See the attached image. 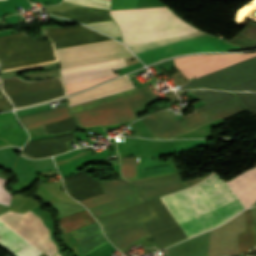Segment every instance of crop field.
I'll return each mask as SVG.
<instances>
[{
	"instance_id": "crop-field-1",
	"label": "crop field",
	"mask_w": 256,
	"mask_h": 256,
	"mask_svg": "<svg viewBox=\"0 0 256 256\" xmlns=\"http://www.w3.org/2000/svg\"><path fill=\"white\" fill-rule=\"evenodd\" d=\"M228 184L245 208L249 207L256 200V167ZM194 185L225 221L245 209L226 181L214 172ZM194 185L160 197L191 237L225 222Z\"/></svg>"
},
{
	"instance_id": "crop-field-2",
	"label": "crop field",
	"mask_w": 256,
	"mask_h": 256,
	"mask_svg": "<svg viewBox=\"0 0 256 256\" xmlns=\"http://www.w3.org/2000/svg\"><path fill=\"white\" fill-rule=\"evenodd\" d=\"M256 55L254 53L200 55L173 59L176 67L188 78L212 73ZM256 77V56L192 81L184 89L210 88L223 90Z\"/></svg>"
},
{
	"instance_id": "crop-field-3",
	"label": "crop field",
	"mask_w": 256,
	"mask_h": 256,
	"mask_svg": "<svg viewBox=\"0 0 256 256\" xmlns=\"http://www.w3.org/2000/svg\"><path fill=\"white\" fill-rule=\"evenodd\" d=\"M127 46L174 38L199 31L166 7L110 11Z\"/></svg>"
},
{
	"instance_id": "crop-field-4",
	"label": "crop field",
	"mask_w": 256,
	"mask_h": 256,
	"mask_svg": "<svg viewBox=\"0 0 256 256\" xmlns=\"http://www.w3.org/2000/svg\"><path fill=\"white\" fill-rule=\"evenodd\" d=\"M155 98L145 85L70 107L79 128L109 125L131 120L133 112Z\"/></svg>"
},
{
	"instance_id": "crop-field-5",
	"label": "crop field",
	"mask_w": 256,
	"mask_h": 256,
	"mask_svg": "<svg viewBox=\"0 0 256 256\" xmlns=\"http://www.w3.org/2000/svg\"><path fill=\"white\" fill-rule=\"evenodd\" d=\"M57 60L52 42L32 39L22 32L0 36V72Z\"/></svg>"
},
{
	"instance_id": "crop-field-6",
	"label": "crop field",
	"mask_w": 256,
	"mask_h": 256,
	"mask_svg": "<svg viewBox=\"0 0 256 256\" xmlns=\"http://www.w3.org/2000/svg\"><path fill=\"white\" fill-rule=\"evenodd\" d=\"M242 109H244V106L235 98L178 122L169 111L157 112L142 118V120L156 138L171 139L202 124L225 117Z\"/></svg>"
},
{
	"instance_id": "crop-field-7",
	"label": "crop field",
	"mask_w": 256,
	"mask_h": 256,
	"mask_svg": "<svg viewBox=\"0 0 256 256\" xmlns=\"http://www.w3.org/2000/svg\"><path fill=\"white\" fill-rule=\"evenodd\" d=\"M1 88L15 109L66 96L60 78L37 82L23 81L19 78L1 79Z\"/></svg>"
},
{
	"instance_id": "crop-field-8",
	"label": "crop field",
	"mask_w": 256,
	"mask_h": 256,
	"mask_svg": "<svg viewBox=\"0 0 256 256\" xmlns=\"http://www.w3.org/2000/svg\"><path fill=\"white\" fill-rule=\"evenodd\" d=\"M61 69L132 56L120 42L111 40L56 50Z\"/></svg>"
},
{
	"instance_id": "crop-field-9",
	"label": "crop field",
	"mask_w": 256,
	"mask_h": 256,
	"mask_svg": "<svg viewBox=\"0 0 256 256\" xmlns=\"http://www.w3.org/2000/svg\"><path fill=\"white\" fill-rule=\"evenodd\" d=\"M106 194L83 201L95 218L144 202L132 189L128 181H101Z\"/></svg>"
},
{
	"instance_id": "crop-field-10",
	"label": "crop field",
	"mask_w": 256,
	"mask_h": 256,
	"mask_svg": "<svg viewBox=\"0 0 256 256\" xmlns=\"http://www.w3.org/2000/svg\"><path fill=\"white\" fill-rule=\"evenodd\" d=\"M243 49L209 34L188 39L185 41L149 49L136 53L137 57L146 65L165 59L170 56L200 51H221Z\"/></svg>"
},
{
	"instance_id": "crop-field-11",
	"label": "crop field",
	"mask_w": 256,
	"mask_h": 256,
	"mask_svg": "<svg viewBox=\"0 0 256 256\" xmlns=\"http://www.w3.org/2000/svg\"><path fill=\"white\" fill-rule=\"evenodd\" d=\"M45 32L55 42L56 49L111 40L83 25L47 30Z\"/></svg>"
},
{
	"instance_id": "crop-field-12",
	"label": "crop field",
	"mask_w": 256,
	"mask_h": 256,
	"mask_svg": "<svg viewBox=\"0 0 256 256\" xmlns=\"http://www.w3.org/2000/svg\"><path fill=\"white\" fill-rule=\"evenodd\" d=\"M131 184L146 201L187 188L179 175L154 178Z\"/></svg>"
},
{
	"instance_id": "crop-field-13",
	"label": "crop field",
	"mask_w": 256,
	"mask_h": 256,
	"mask_svg": "<svg viewBox=\"0 0 256 256\" xmlns=\"http://www.w3.org/2000/svg\"><path fill=\"white\" fill-rule=\"evenodd\" d=\"M126 66L124 59L61 70L65 84L113 74L111 70Z\"/></svg>"
},
{
	"instance_id": "crop-field-14",
	"label": "crop field",
	"mask_w": 256,
	"mask_h": 256,
	"mask_svg": "<svg viewBox=\"0 0 256 256\" xmlns=\"http://www.w3.org/2000/svg\"><path fill=\"white\" fill-rule=\"evenodd\" d=\"M134 86L128 81V79L123 76L121 78L115 79L108 83L102 84L90 90L84 91L77 95L69 97L68 106H74L80 103H84L90 100H94L100 97H104L110 94H114L120 91H124Z\"/></svg>"
},
{
	"instance_id": "crop-field-15",
	"label": "crop field",
	"mask_w": 256,
	"mask_h": 256,
	"mask_svg": "<svg viewBox=\"0 0 256 256\" xmlns=\"http://www.w3.org/2000/svg\"><path fill=\"white\" fill-rule=\"evenodd\" d=\"M0 243L18 256H39L42 252L0 221Z\"/></svg>"
},
{
	"instance_id": "crop-field-16",
	"label": "crop field",
	"mask_w": 256,
	"mask_h": 256,
	"mask_svg": "<svg viewBox=\"0 0 256 256\" xmlns=\"http://www.w3.org/2000/svg\"><path fill=\"white\" fill-rule=\"evenodd\" d=\"M70 111L67 109V105L37 112L34 114L26 115L19 117L20 122L24 125L25 128L38 126L60 120L63 118L71 117Z\"/></svg>"
},
{
	"instance_id": "crop-field-17",
	"label": "crop field",
	"mask_w": 256,
	"mask_h": 256,
	"mask_svg": "<svg viewBox=\"0 0 256 256\" xmlns=\"http://www.w3.org/2000/svg\"><path fill=\"white\" fill-rule=\"evenodd\" d=\"M246 218L247 232L238 234L237 246L240 254L255 246V220L251 209L243 211Z\"/></svg>"
},
{
	"instance_id": "crop-field-18",
	"label": "crop field",
	"mask_w": 256,
	"mask_h": 256,
	"mask_svg": "<svg viewBox=\"0 0 256 256\" xmlns=\"http://www.w3.org/2000/svg\"><path fill=\"white\" fill-rule=\"evenodd\" d=\"M200 98L206 105L195 109L197 112L235 98L230 92L195 90L188 91Z\"/></svg>"
},
{
	"instance_id": "crop-field-19",
	"label": "crop field",
	"mask_w": 256,
	"mask_h": 256,
	"mask_svg": "<svg viewBox=\"0 0 256 256\" xmlns=\"http://www.w3.org/2000/svg\"><path fill=\"white\" fill-rule=\"evenodd\" d=\"M60 228L63 234L76 229L78 227L84 226L91 222H95V220L91 217L87 210L72 214L65 218L59 220Z\"/></svg>"
},
{
	"instance_id": "crop-field-20",
	"label": "crop field",
	"mask_w": 256,
	"mask_h": 256,
	"mask_svg": "<svg viewBox=\"0 0 256 256\" xmlns=\"http://www.w3.org/2000/svg\"><path fill=\"white\" fill-rule=\"evenodd\" d=\"M202 34H206V33L200 31V32H196V33H193V34H190V35H186V36H183V37H179V38L169 39V40L160 41V42H155V43H149V44L131 46V47H129V48H130L134 53H136V52H140V51H143V50L152 48V47H156V46H160V45H165V44H168V43H172V42H176V41H180V40L192 38V37L199 36V35H202Z\"/></svg>"
},
{
	"instance_id": "crop-field-21",
	"label": "crop field",
	"mask_w": 256,
	"mask_h": 256,
	"mask_svg": "<svg viewBox=\"0 0 256 256\" xmlns=\"http://www.w3.org/2000/svg\"><path fill=\"white\" fill-rule=\"evenodd\" d=\"M115 76H116V74L112 75V76H107V77L87 80V81H83V82H79V83H75V84H69V85H65V86L67 88V93L69 95V94H72L74 92L80 91V90L88 88L90 86H93L95 84H98V83H101L103 81H106L108 79H111V78H113Z\"/></svg>"
},
{
	"instance_id": "crop-field-22",
	"label": "crop field",
	"mask_w": 256,
	"mask_h": 256,
	"mask_svg": "<svg viewBox=\"0 0 256 256\" xmlns=\"http://www.w3.org/2000/svg\"><path fill=\"white\" fill-rule=\"evenodd\" d=\"M89 27L99 30L113 38L119 37V29L114 21L101 22V23H91L87 24Z\"/></svg>"
},
{
	"instance_id": "crop-field-23",
	"label": "crop field",
	"mask_w": 256,
	"mask_h": 256,
	"mask_svg": "<svg viewBox=\"0 0 256 256\" xmlns=\"http://www.w3.org/2000/svg\"><path fill=\"white\" fill-rule=\"evenodd\" d=\"M121 171L124 178H134L136 177V157L131 158H121Z\"/></svg>"
},
{
	"instance_id": "crop-field-24",
	"label": "crop field",
	"mask_w": 256,
	"mask_h": 256,
	"mask_svg": "<svg viewBox=\"0 0 256 256\" xmlns=\"http://www.w3.org/2000/svg\"><path fill=\"white\" fill-rule=\"evenodd\" d=\"M234 95L247 109L256 113V93H235Z\"/></svg>"
},
{
	"instance_id": "crop-field-25",
	"label": "crop field",
	"mask_w": 256,
	"mask_h": 256,
	"mask_svg": "<svg viewBox=\"0 0 256 256\" xmlns=\"http://www.w3.org/2000/svg\"><path fill=\"white\" fill-rule=\"evenodd\" d=\"M227 91H256V79L225 89Z\"/></svg>"
},
{
	"instance_id": "crop-field-26",
	"label": "crop field",
	"mask_w": 256,
	"mask_h": 256,
	"mask_svg": "<svg viewBox=\"0 0 256 256\" xmlns=\"http://www.w3.org/2000/svg\"><path fill=\"white\" fill-rule=\"evenodd\" d=\"M64 1L73 2V3H76L78 5L87 6V7H98V8L109 9L108 6L102 5L100 3H97V2H94V1H91V0H64Z\"/></svg>"
},
{
	"instance_id": "crop-field-27",
	"label": "crop field",
	"mask_w": 256,
	"mask_h": 256,
	"mask_svg": "<svg viewBox=\"0 0 256 256\" xmlns=\"http://www.w3.org/2000/svg\"><path fill=\"white\" fill-rule=\"evenodd\" d=\"M4 182L5 179L0 178V202L9 205L11 195L3 188Z\"/></svg>"
},
{
	"instance_id": "crop-field-28",
	"label": "crop field",
	"mask_w": 256,
	"mask_h": 256,
	"mask_svg": "<svg viewBox=\"0 0 256 256\" xmlns=\"http://www.w3.org/2000/svg\"><path fill=\"white\" fill-rule=\"evenodd\" d=\"M10 103L8 99L0 91V109L10 108Z\"/></svg>"
},
{
	"instance_id": "crop-field-29",
	"label": "crop field",
	"mask_w": 256,
	"mask_h": 256,
	"mask_svg": "<svg viewBox=\"0 0 256 256\" xmlns=\"http://www.w3.org/2000/svg\"><path fill=\"white\" fill-rule=\"evenodd\" d=\"M94 1L103 3V4L108 5V6H109V4H110V2H109V1H106V0H94Z\"/></svg>"
},
{
	"instance_id": "crop-field-30",
	"label": "crop field",
	"mask_w": 256,
	"mask_h": 256,
	"mask_svg": "<svg viewBox=\"0 0 256 256\" xmlns=\"http://www.w3.org/2000/svg\"><path fill=\"white\" fill-rule=\"evenodd\" d=\"M42 256H45L44 254Z\"/></svg>"
}]
</instances>
